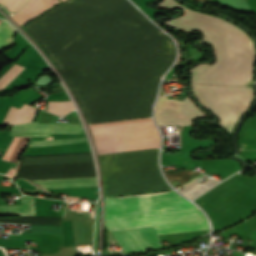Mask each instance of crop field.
<instances>
[{
  "instance_id": "bc2a9ffb",
  "label": "crop field",
  "mask_w": 256,
  "mask_h": 256,
  "mask_svg": "<svg viewBox=\"0 0 256 256\" xmlns=\"http://www.w3.org/2000/svg\"><path fill=\"white\" fill-rule=\"evenodd\" d=\"M25 1L26 0H0V3L6 5L9 11L16 12L22 7Z\"/></svg>"
},
{
  "instance_id": "5142ce71",
  "label": "crop field",
  "mask_w": 256,
  "mask_h": 256,
  "mask_svg": "<svg viewBox=\"0 0 256 256\" xmlns=\"http://www.w3.org/2000/svg\"><path fill=\"white\" fill-rule=\"evenodd\" d=\"M22 137H14L13 141L9 145L8 149L6 150L5 154L3 155L2 159L9 161L13 152L15 151L16 147L18 146L19 142L21 141ZM27 137H23L22 141L20 142L19 146L17 147L16 151L14 152L11 162H14L16 156L18 155L20 149L22 148L23 144L25 143Z\"/></svg>"
},
{
  "instance_id": "4a817a6b",
  "label": "crop field",
  "mask_w": 256,
  "mask_h": 256,
  "mask_svg": "<svg viewBox=\"0 0 256 256\" xmlns=\"http://www.w3.org/2000/svg\"><path fill=\"white\" fill-rule=\"evenodd\" d=\"M85 138H71V139H61V140H53V141H43V142H31L29 147L36 146H48L54 144H63V143H74V142H84Z\"/></svg>"
},
{
  "instance_id": "3316defc",
  "label": "crop field",
  "mask_w": 256,
  "mask_h": 256,
  "mask_svg": "<svg viewBox=\"0 0 256 256\" xmlns=\"http://www.w3.org/2000/svg\"><path fill=\"white\" fill-rule=\"evenodd\" d=\"M167 176L170 181L179 180L180 183L185 188L188 185H190L191 183H193L194 181H196L197 179H199L200 177H202L203 174H200V173L194 172V171H190V170H184V171L169 173V174H167ZM216 183H218V182L214 179H211L202 185L197 181L194 184L187 187L182 192L187 194L189 197L194 198L199 193H201L202 191L206 190L207 188L213 186Z\"/></svg>"
},
{
  "instance_id": "214f88e0",
  "label": "crop field",
  "mask_w": 256,
  "mask_h": 256,
  "mask_svg": "<svg viewBox=\"0 0 256 256\" xmlns=\"http://www.w3.org/2000/svg\"><path fill=\"white\" fill-rule=\"evenodd\" d=\"M200 1L209 3L211 0H200Z\"/></svg>"
},
{
  "instance_id": "f4fd0767",
  "label": "crop field",
  "mask_w": 256,
  "mask_h": 256,
  "mask_svg": "<svg viewBox=\"0 0 256 256\" xmlns=\"http://www.w3.org/2000/svg\"><path fill=\"white\" fill-rule=\"evenodd\" d=\"M98 154L158 147L151 118L89 125Z\"/></svg>"
},
{
  "instance_id": "733c2abd",
  "label": "crop field",
  "mask_w": 256,
  "mask_h": 256,
  "mask_svg": "<svg viewBox=\"0 0 256 256\" xmlns=\"http://www.w3.org/2000/svg\"><path fill=\"white\" fill-rule=\"evenodd\" d=\"M23 69L24 67L14 65L2 77H0V90L14 79Z\"/></svg>"
},
{
  "instance_id": "d1516ede",
  "label": "crop field",
  "mask_w": 256,
  "mask_h": 256,
  "mask_svg": "<svg viewBox=\"0 0 256 256\" xmlns=\"http://www.w3.org/2000/svg\"><path fill=\"white\" fill-rule=\"evenodd\" d=\"M37 109L23 104L20 109L10 106L1 125L20 124L33 120Z\"/></svg>"
},
{
  "instance_id": "d8731c3e",
  "label": "crop field",
  "mask_w": 256,
  "mask_h": 256,
  "mask_svg": "<svg viewBox=\"0 0 256 256\" xmlns=\"http://www.w3.org/2000/svg\"><path fill=\"white\" fill-rule=\"evenodd\" d=\"M125 253L162 248L153 227L112 232Z\"/></svg>"
},
{
  "instance_id": "34b2d1b8",
  "label": "crop field",
  "mask_w": 256,
  "mask_h": 256,
  "mask_svg": "<svg viewBox=\"0 0 256 256\" xmlns=\"http://www.w3.org/2000/svg\"><path fill=\"white\" fill-rule=\"evenodd\" d=\"M196 208L174 191L105 199L104 219ZM108 231L154 226L158 235L209 229L199 209L104 220Z\"/></svg>"
},
{
  "instance_id": "dd49c442",
  "label": "crop field",
  "mask_w": 256,
  "mask_h": 256,
  "mask_svg": "<svg viewBox=\"0 0 256 256\" xmlns=\"http://www.w3.org/2000/svg\"><path fill=\"white\" fill-rule=\"evenodd\" d=\"M198 99L221 119L220 126L232 132L236 120L253 100L252 88L193 84Z\"/></svg>"
},
{
  "instance_id": "412701ff",
  "label": "crop field",
  "mask_w": 256,
  "mask_h": 256,
  "mask_svg": "<svg viewBox=\"0 0 256 256\" xmlns=\"http://www.w3.org/2000/svg\"><path fill=\"white\" fill-rule=\"evenodd\" d=\"M19 178L30 180L96 176L90 152L22 156L19 162ZM45 188L97 186L96 178L35 181Z\"/></svg>"
},
{
  "instance_id": "cbeb9de0",
  "label": "crop field",
  "mask_w": 256,
  "mask_h": 256,
  "mask_svg": "<svg viewBox=\"0 0 256 256\" xmlns=\"http://www.w3.org/2000/svg\"><path fill=\"white\" fill-rule=\"evenodd\" d=\"M15 32L6 21L0 25V49L13 43Z\"/></svg>"
},
{
  "instance_id": "22f410ed",
  "label": "crop field",
  "mask_w": 256,
  "mask_h": 256,
  "mask_svg": "<svg viewBox=\"0 0 256 256\" xmlns=\"http://www.w3.org/2000/svg\"><path fill=\"white\" fill-rule=\"evenodd\" d=\"M0 213L35 215L33 197L23 196V205L0 206Z\"/></svg>"
},
{
  "instance_id": "28ad6ade",
  "label": "crop field",
  "mask_w": 256,
  "mask_h": 256,
  "mask_svg": "<svg viewBox=\"0 0 256 256\" xmlns=\"http://www.w3.org/2000/svg\"><path fill=\"white\" fill-rule=\"evenodd\" d=\"M59 2L58 0H30L25 7L15 14L12 18L18 23L23 24L34 16L38 15L42 11L51 7L55 3Z\"/></svg>"
},
{
  "instance_id": "ac0d7876",
  "label": "crop field",
  "mask_w": 256,
  "mask_h": 256,
  "mask_svg": "<svg viewBox=\"0 0 256 256\" xmlns=\"http://www.w3.org/2000/svg\"><path fill=\"white\" fill-rule=\"evenodd\" d=\"M158 5L168 9H183V17L166 24L184 31L202 30V42L211 43L216 50L217 61L214 65L192 68L193 83L244 85L251 80L254 46L242 30L220 18L189 10L174 0H164Z\"/></svg>"
},
{
  "instance_id": "d9b57169",
  "label": "crop field",
  "mask_w": 256,
  "mask_h": 256,
  "mask_svg": "<svg viewBox=\"0 0 256 256\" xmlns=\"http://www.w3.org/2000/svg\"><path fill=\"white\" fill-rule=\"evenodd\" d=\"M71 110H73V107L70 101L48 102V112H52L59 115H65Z\"/></svg>"
},
{
  "instance_id": "92a150f3",
  "label": "crop field",
  "mask_w": 256,
  "mask_h": 256,
  "mask_svg": "<svg viewBox=\"0 0 256 256\" xmlns=\"http://www.w3.org/2000/svg\"><path fill=\"white\" fill-rule=\"evenodd\" d=\"M63 1V0H62Z\"/></svg>"
},
{
  "instance_id": "e52e79f7",
  "label": "crop field",
  "mask_w": 256,
  "mask_h": 256,
  "mask_svg": "<svg viewBox=\"0 0 256 256\" xmlns=\"http://www.w3.org/2000/svg\"><path fill=\"white\" fill-rule=\"evenodd\" d=\"M155 116L159 125H192V119L205 115L197 110L187 97L183 101L160 97Z\"/></svg>"
},
{
  "instance_id": "8a807250",
  "label": "crop field",
  "mask_w": 256,
  "mask_h": 256,
  "mask_svg": "<svg viewBox=\"0 0 256 256\" xmlns=\"http://www.w3.org/2000/svg\"><path fill=\"white\" fill-rule=\"evenodd\" d=\"M27 31L50 57L173 44L126 0H66ZM174 45L52 58L88 123L151 116Z\"/></svg>"
},
{
  "instance_id": "5a996713",
  "label": "crop field",
  "mask_w": 256,
  "mask_h": 256,
  "mask_svg": "<svg viewBox=\"0 0 256 256\" xmlns=\"http://www.w3.org/2000/svg\"><path fill=\"white\" fill-rule=\"evenodd\" d=\"M50 133H81L79 124H38V122L15 125L10 135L49 136Z\"/></svg>"
}]
</instances>
